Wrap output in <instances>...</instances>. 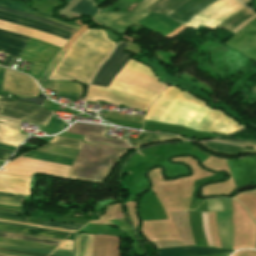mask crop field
Segmentation results:
<instances>
[{
  "mask_svg": "<svg viewBox=\"0 0 256 256\" xmlns=\"http://www.w3.org/2000/svg\"><path fill=\"white\" fill-rule=\"evenodd\" d=\"M145 119L182 125L217 134H228L245 127L201 100L169 86L154 102Z\"/></svg>",
  "mask_w": 256,
  "mask_h": 256,
  "instance_id": "crop-field-1",
  "label": "crop field"
},
{
  "mask_svg": "<svg viewBox=\"0 0 256 256\" xmlns=\"http://www.w3.org/2000/svg\"><path fill=\"white\" fill-rule=\"evenodd\" d=\"M165 87L149 68L130 59L108 88L91 85L86 101L122 103L146 111Z\"/></svg>",
  "mask_w": 256,
  "mask_h": 256,
  "instance_id": "crop-field-2",
  "label": "crop field"
},
{
  "mask_svg": "<svg viewBox=\"0 0 256 256\" xmlns=\"http://www.w3.org/2000/svg\"><path fill=\"white\" fill-rule=\"evenodd\" d=\"M105 32L87 29L67 50L50 79L74 80L89 84L92 76L114 49Z\"/></svg>",
  "mask_w": 256,
  "mask_h": 256,
  "instance_id": "crop-field-3",
  "label": "crop field"
},
{
  "mask_svg": "<svg viewBox=\"0 0 256 256\" xmlns=\"http://www.w3.org/2000/svg\"><path fill=\"white\" fill-rule=\"evenodd\" d=\"M127 151L113 146L84 143L70 172V179L103 184L120 158Z\"/></svg>",
  "mask_w": 256,
  "mask_h": 256,
  "instance_id": "crop-field-4",
  "label": "crop field"
},
{
  "mask_svg": "<svg viewBox=\"0 0 256 256\" xmlns=\"http://www.w3.org/2000/svg\"><path fill=\"white\" fill-rule=\"evenodd\" d=\"M52 113L53 111L0 97V115L46 126ZM4 116H0V120L10 123L8 126L0 125V143L17 147L26 138L19 131L21 121Z\"/></svg>",
  "mask_w": 256,
  "mask_h": 256,
  "instance_id": "crop-field-5",
  "label": "crop field"
},
{
  "mask_svg": "<svg viewBox=\"0 0 256 256\" xmlns=\"http://www.w3.org/2000/svg\"><path fill=\"white\" fill-rule=\"evenodd\" d=\"M243 7L244 6L238 0H219L197 14L186 25L196 29L202 24L213 30L224 19Z\"/></svg>",
  "mask_w": 256,
  "mask_h": 256,
  "instance_id": "crop-field-6",
  "label": "crop field"
},
{
  "mask_svg": "<svg viewBox=\"0 0 256 256\" xmlns=\"http://www.w3.org/2000/svg\"><path fill=\"white\" fill-rule=\"evenodd\" d=\"M127 43L122 42L117 45L111 56L98 69L91 84L108 87L113 77L123 68L127 61L132 57L121 52Z\"/></svg>",
  "mask_w": 256,
  "mask_h": 256,
  "instance_id": "crop-field-7",
  "label": "crop field"
},
{
  "mask_svg": "<svg viewBox=\"0 0 256 256\" xmlns=\"http://www.w3.org/2000/svg\"><path fill=\"white\" fill-rule=\"evenodd\" d=\"M106 126L90 125L83 123H74L66 132H72L79 135H85L84 140L87 142L106 143L127 149H133L124 139H114L106 137L103 133Z\"/></svg>",
  "mask_w": 256,
  "mask_h": 256,
  "instance_id": "crop-field-8",
  "label": "crop field"
},
{
  "mask_svg": "<svg viewBox=\"0 0 256 256\" xmlns=\"http://www.w3.org/2000/svg\"><path fill=\"white\" fill-rule=\"evenodd\" d=\"M27 76L6 68L2 90L21 97L37 96L38 86L33 79Z\"/></svg>",
  "mask_w": 256,
  "mask_h": 256,
  "instance_id": "crop-field-9",
  "label": "crop field"
},
{
  "mask_svg": "<svg viewBox=\"0 0 256 256\" xmlns=\"http://www.w3.org/2000/svg\"><path fill=\"white\" fill-rule=\"evenodd\" d=\"M147 14H148L147 12H137V13L111 12V13L98 15L97 17H95L94 20L122 35L129 26L138 22Z\"/></svg>",
  "mask_w": 256,
  "mask_h": 256,
  "instance_id": "crop-field-10",
  "label": "crop field"
},
{
  "mask_svg": "<svg viewBox=\"0 0 256 256\" xmlns=\"http://www.w3.org/2000/svg\"><path fill=\"white\" fill-rule=\"evenodd\" d=\"M28 40L29 37L0 30V51L8 55L4 66L12 68Z\"/></svg>",
  "mask_w": 256,
  "mask_h": 256,
  "instance_id": "crop-field-11",
  "label": "crop field"
},
{
  "mask_svg": "<svg viewBox=\"0 0 256 256\" xmlns=\"http://www.w3.org/2000/svg\"><path fill=\"white\" fill-rule=\"evenodd\" d=\"M232 201L222 199L224 213H216V223L222 248L232 249L233 224H232Z\"/></svg>",
  "mask_w": 256,
  "mask_h": 256,
  "instance_id": "crop-field-12",
  "label": "crop field"
},
{
  "mask_svg": "<svg viewBox=\"0 0 256 256\" xmlns=\"http://www.w3.org/2000/svg\"><path fill=\"white\" fill-rule=\"evenodd\" d=\"M136 24L162 37L182 25L158 13H150Z\"/></svg>",
  "mask_w": 256,
  "mask_h": 256,
  "instance_id": "crop-field-13",
  "label": "crop field"
},
{
  "mask_svg": "<svg viewBox=\"0 0 256 256\" xmlns=\"http://www.w3.org/2000/svg\"><path fill=\"white\" fill-rule=\"evenodd\" d=\"M0 19L15 23V24H18L21 26L37 29V30L58 36L60 38L66 39V40H68V38L71 36V33L66 32L64 30H61V29H58L55 27H51V26H48V25L30 20V19L24 18V17L8 14V13H4V12H0Z\"/></svg>",
  "mask_w": 256,
  "mask_h": 256,
  "instance_id": "crop-field-14",
  "label": "crop field"
},
{
  "mask_svg": "<svg viewBox=\"0 0 256 256\" xmlns=\"http://www.w3.org/2000/svg\"><path fill=\"white\" fill-rule=\"evenodd\" d=\"M215 1L217 0H189L176 11L171 13L168 17L185 25L198 12Z\"/></svg>",
  "mask_w": 256,
  "mask_h": 256,
  "instance_id": "crop-field-15",
  "label": "crop field"
},
{
  "mask_svg": "<svg viewBox=\"0 0 256 256\" xmlns=\"http://www.w3.org/2000/svg\"><path fill=\"white\" fill-rule=\"evenodd\" d=\"M157 251L160 256H197V255L229 252L233 250L190 246V247H180V248H171V249H161Z\"/></svg>",
  "mask_w": 256,
  "mask_h": 256,
  "instance_id": "crop-field-16",
  "label": "crop field"
},
{
  "mask_svg": "<svg viewBox=\"0 0 256 256\" xmlns=\"http://www.w3.org/2000/svg\"><path fill=\"white\" fill-rule=\"evenodd\" d=\"M201 144L211 151L218 152L224 155H230V156H237V155H242L247 153H256V149H249V148L235 146V145L220 144V143H213V142H205Z\"/></svg>",
  "mask_w": 256,
  "mask_h": 256,
  "instance_id": "crop-field-17",
  "label": "crop field"
},
{
  "mask_svg": "<svg viewBox=\"0 0 256 256\" xmlns=\"http://www.w3.org/2000/svg\"><path fill=\"white\" fill-rule=\"evenodd\" d=\"M188 0H157L145 11L159 12L163 15H168Z\"/></svg>",
  "mask_w": 256,
  "mask_h": 256,
  "instance_id": "crop-field-18",
  "label": "crop field"
},
{
  "mask_svg": "<svg viewBox=\"0 0 256 256\" xmlns=\"http://www.w3.org/2000/svg\"><path fill=\"white\" fill-rule=\"evenodd\" d=\"M253 14L255 13H253L245 7L240 11L236 12L235 14H233L232 16H230L229 18H227L226 20H224L218 27L231 31Z\"/></svg>",
  "mask_w": 256,
  "mask_h": 256,
  "instance_id": "crop-field-19",
  "label": "crop field"
},
{
  "mask_svg": "<svg viewBox=\"0 0 256 256\" xmlns=\"http://www.w3.org/2000/svg\"><path fill=\"white\" fill-rule=\"evenodd\" d=\"M0 6L11 8V9L22 11V12H26V13H30V14H34V15H38V16H41V17H45V18L51 19L55 22L67 25V26L72 27V28H76V29L79 28V26L74 25L72 23L62 21V20H59V19H55V18H52V17H50L46 14H42V13H39V12H36V11L29 10L25 4L20 3V2H15V1L0 2Z\"/></svg>",
  "mask_w": 256,
  "mask_h": 256,
  "instance_id": "crop-field-20",
  "label": "crop field"
},
{
  "mask_svg": "<svg viewBox=\"0 0 256 256\" xmlns=\"http://www.w3.org/2000/svg\"><path fill=\"white\" fill-rule=\"evenodd\" d=\"M34 151L57 155V156H61V157H65V158H69V159H73V160L76 159V155L78 152L76 150L60 147V146L53 145L50 143H48L45 146H43L37 150H34Z\"/></svg>",
  "mask_w": 256,
  "mask_h": 256,
  "instance_id": "crop-field-21",
  "label": "crop field"
},
{
  "mask_svg": "<svg viewBox=\"0 0 256 256\" xmlns=\"http://www.w3.org/2000/svg\"><path fill=\"white\" fill-rule=\"evenodd\" d=\"M171 140H185V139L175 137V136H170V135L146 132L143 140L130 139V142L132 144L137 145L135 148L138 150L139 146L143 144L153 143L157 141L166 142Z\"/></svg>",
  "mask_w": 256,
  "mask_h": 256,
  "instance_id": "crop-field-22",
  "label": "crop field"
},
{
  "mask_svg": "<svg viewBox=\"0 0 256 256\" xmlns=\"http://www.w3.org/2000/svg\"><path fill=\"white\" fill-rule=\"evenodd\" d=\"M66 52V50H63L61 52H59L54 59L52 60V62L49 64V66L47 67L43 77L38 80L37 82L41 85V87L44 88H55L56 89V81H52V80H48L49 76L51 75L52 71L54 70V68L57 66V64L60 62V60L62 59L61 57L63 56V54Z\"/></svg>",
  "mask_w": 256,
  "mask_h": 256,
  "instance_id": "crop-field-23",
  "label": "crop field"
},
{
  "mask_svg": "<svg viewBox=\"0 0 256 256\" xmlns=\"http://www.w3.org/2000/svg\"><path fill=\"white\" fill-rule=\"evenodd\" d=\"M78 84V83H77ZM75 83L57 81V95L76 97L81 96L82 87Z\"/></svg>",
  "mask_w": 256,
  "mask_h": 256,
  "instance_id": "crop-field-24",
  "label": "crop field"
},
{
  "mask_svg": "<svg viewBox=\"0 0 256 256\" xmlns=\"http://www.w3.org/2000/svg\"><path fill=\"white\" fill-rule=\"evenodd\" d=\"M69 12L93 17L99 12V10L90 0H82Z\"/></svg>",
  "mask_w": 256,
  "mask_h": 256,
  "instance_id": "crop-field-25",
  "label": "crop field"
},
{
  "mask_svg": "<svg viewBox=\"0 0 256 256\" xmlns=\"http://www.w3.org/2000/svg\"><path fill=\"white\" fill-rule=\"evenodd\" d=\"M0 10L1 11H4V12H8V13H12V14H16V15H20V16H24V17H27V18H30V19H33V20H36V21H39V22H42V23H45V24H48V25H52V26H55V27H58V28H61V29H64L66 31H69L71 33L75 32L76 30L74 29H71L69 27H65L61 24H58V23H55V22H52V21H49V20H46L44 18H41V17H37V16H33V15H29V14H26V13H22V12H18V11H14V10H10V9H6V8H2L0 7Z\"/></svg>",
  "mask_w": 256,
  "mask_h": 256,
  "instance_id": "crop-field-26",
  "label": "crop field"
},
{
  "mask_svg": "<svg viewBox=\"0 0 256 256\" xmlns=\"http://www.w3.org/2000/svg\"><path fill=\"white\" fill-rule=\"evenodd\" d=\"M24 156L41 159V160H45V161H50V162H55V163H60V164H64V165H69V166H71L73 163V160L50 156V155H46V154H42V153H38V152H34V151H31Z\"/></svg>",
  "mask_w": 256,
  "mask_h": 256,
  "instance_id": "crop-field-27",
  "label": "crop field"
},
{
  "mask_svg": "<svg viewBox=\"0 0 256 256\" xmlns=\"http://www.w3.org/2000/svg\"><path fill=\"white\" fill-rule=\"evenodd\" d=\"M0 229L19 231V232H25V233L36 234V235H41V236H48V237H57V238H63V239L68 237L66 235H60V234H55V233H51V232L35 231V230H30L28 228H22V227H12V226L0 225Z\"/></svg>",
  "mask_w": 256,
  "mask_h": 256,
  "instance_id": "crop-field-28",
  "label": "crop field"
},
{
  "mask_svg": "<svg viewBox=\"0 0 256 256\" xmlns=\"http://www.w3.org/2000/svg\"><path fill=\"white\" fill-rule=\"evenodd\" d=\"M0 236L14 238V239L35 241V242L44 243V244H48V245H54V246H58L60 244L59 241H53V240H47V239H41V238H35V237H29V236H23V235L0 233Z\"/></svg>",
  "mask_w": 256,
  "mask_h": 256,
  "instance_id": "crop-field-29",
  "label": "crop field"
},
{
  "mask_svg": "<svg viewBox=\"0 0 256 256\" xmlns=\"http://www.w3.org/2000/svg\"><path fill=\"white\" fill-rule=\"evenodd\" d=\"M68 125H66L64 122L51 118L47 126L42 130L43 132L55 134L59 132L60 130L66 128Z\"/></svg>",
  "mask_w": 256,
  "mask_h": 256,
  "instance_id": "crop-field-30",
  "label": "crop field"
},
{
  "mask_svg": "<svg viewBox=\"0 0 256 256\" xmlns=\"http://www.w3.org/2000/svg\"><path fill=\"white\" fill-rule=\"evenodd\" d=\"M213 141H219V142H225V143H231V144H238V145L256 147V140H250V139L219 138V139H215Z\"/></svg>",
  "mask_w": 256,
  "mask_h": 256,
  "instance_id": "crop-field-31",
  "label": "crop field"
},
{
  "mask_svg": "<svg viewBox=\"0 0 256 256\" xmlns=\"http://www.w3.org/2000/svg\"><path fill=\"white\" fill-rule=\"evenodd\" d=\"M20 212L0 209V218L27 222L28 216H18Z\"/></svg>",
  "mask_w": 256,
  "mask_h": 256,
  "instance_id": "crop-field-32",
  "label": "crop field"
},
{
  "mask_svg": "<svg viewBox=\"0 0 256 256\" xmlns=\"http://www.w3.org/2000/svg\"><path fill=\"white\" fill-rule=\"evenodd\" d=\"M0 247L32 251V252H39V253H45V254H49L50 252H52L51 250H45V249H39V248H33V247L9 244V243H1V242H0Z\"/></svg>",
  "mask_w": 256,
  "mask_h": 256,
  "instance_id": "crop-field-33",
  "label": "crop field"
},
{
  "mask_svg": "<svg viewBox=\"0 0 256 256\" xmlns=\"http://www.w3.org/2000/svg\"><path fill=\"white\" fill-rule=\"evenodd\" d=\"M208 217H209V226H210V232L212 235L213 242L216 247L221 248L217 230H216L215 213L208 212Z\"/></svg>",
  "mask_w": 256,
  "mask_h": 256,
  "instance_id": "crop-field-34",
  "label": "crop field"
},
{
  "mask_svg": "<svg viewBox=\"0 0 256 256\" xmlns=\"http://www.w3.org/2000/svg\"><path fill=\"white\" fill-rule=\"evenodd\" d=\"M79 237H80V235H77V233H75V238H74V243H73V251L56 249L51 254L58 255V256H76L77 249H78V243H79Z\"/></svg>",
  "mask_w": 256,
  "mask_h": 256,
  "instance_id": "crop-field-35",
  "label": "crop field"
},
{
  "mask_svg": "<svg viewBox=\"0 0 256 256\" xmlns=\"http://www.w3.org/2000/svg\"><path fill=\"white\" fill-rule=\"evenodd\" d=\"M0 241L1 242L22 244V245H28V246H34V247H39V248L51 249V250H54L56 248L54 246H48V245H43V244H38V243H33V242H27V241H21V240H14V239L0 238Z\"/></svg>",
  "mask_w": 256,
  "mask_h": 256,
  "instance_id": "crop-field-36",
  "label": "crop field"
},
{
  "mask_svg": "<svg viewBox=\"0 0 256 256\" xmlns=\"http://www.w3.org/2000/svg\"><path fill=\"white\" fill-rule=\"evenodd\" d=\"M50 143L65 145V146H69V147H73V148H77V149H79L81 146L80 141L63 139V138H58V137H55Z\"/></svg>",
  "mask_w": 256,
  "mask_h": 256,
  "instance_id": "crop-field-37",
  "label": "crop field"
},
{
  "mask_svg": "<svg viewBox=\"0 0 256 256\" xmlns=\"http://www.w3.org/2000/svg\"><path fill=\"white\" fill-rule=\"evenodd\" d=\"M88 238H89L88 234L81 233L79 249H78V256H86L87 255Z\"/></svg>",
  "mask_w": 256,
  "mask_h": 256,
  "instance_id": "crop-field-38",
  "label": "crop field"
},
{
  "mask_svg": "<svg viewBox=\"0 0 256 256\" xmlns=\"http://www.w3.org/2000/svg\"><path fill=\"white\" fill-rule=\"evenodd\" d=\"M40 225H45V226H53V227H61V228H66V229H72V230H77L81 228L84 225H79V224H63V223H56V222H45Z\"/></svg>",
  "mask_w": 256,
  "mask_h": 256,
  "instance_id": "crop-field-39",
  "label": "crop field"
},
{
  "mask_svg": "<svg viewBox=\"0 0 256 256\" xmlns=\"http://www.w3.org/2000/svg\"><path fill=\"white\" fill-rule=\"evenodd\" d=\"M208 211L223 212L221 199L208 200Z\"/></svg>",
  "mask_w": 256,
  "mask_h": 256,
  "instance_id": "crop-field-40",
  "label": "crop field"
},
{
  "mask_svg": "<svg viewBox=\"0 0 256 256\" xmlns=\"http://www.w3.org/2000/svg\"><path fill=\"white\" fill-rule=\"evenodd\" d=\"M24 198L25 196H22V195L0 193V199H3V200L23 202Z\"/></svg>",
  "mask_w": 256,
  "mask_h": 256,
  "instance_id": "crop-field-41",
  "label": "crop field"
},
{
  "mask_svg": "<svg viewBox=\"0 0 256 256\" xmlns=\"http://www.w3.org/2000/svg\"><path fill=\"white\" fill-rule=\"evenodd\" d=\"M11 154V151L0 149V160L5 161Z\"/></svg>",
  "mask_w": 256,
  "mask_h": 256,
  "instance_id": "crop-field-42",
  "label": "crop field"
},
{
  "mask_svg": "<svg viewBox=\"0 0 256 256\" xmlns=\"http://www.w3.org/2000/svg\"><path fill=\"white\" fill-rule=\"evenodd\" d=\"M0 224H9V225H17V226L35 228V227H31V226H25V225H19V224H12V223H5V222H0ZM35 229H40V228H35ZM43 230H48V229H43ZM49 231L58 232V233H62V234H67V235H70V234H71V233H66V232L56 231V230H49Z\"/></svg>",
  "mask_w": 256,
  "mask_h": 256,
  "instance_id": "crop-field-43",
  "label": "crop field"
},
{
  "mask_svg": "<svg viewBox=\"0 0 256 256\" xmlns=\"http://www.w3.org/2000/svg\"><path fill=\"white\" fill-rule=\"evenodd\" d=\"M73 241L66 240L59 248L72 250Z\"/></svg>",
  "mask_w": 256,
  "mask_h": 256,
  "instance_id": "crop-field-44",
  "label": "crop field"
},
{
  "mask_svg": "<svg viewBox=\"0 0 256 256\" xmlns=\"http://www.w3.org/2000/svg\"><path fill=\"white\" fill-rule=\"evenodd\" d=\"M0 221H6V222H12V223H20V224H28V225H32V226H38V225L29 224V223L14 222V221L2 220V219H0ZM38 227H43V226H38ZM44 228H50V227H44ZM50 229H57V228H50ZM57 230H63V231L74 232V231L65 230V229H57Z\"/></svg>",
  "mask_w": 256,
  "mask_h": 256,
  "instance_id": "crop-field-45",
  "label": "crop field"
},
{
  "mask_svg": "<svg viewBox=\"0 0 256 256\" xmlns=\"http://www.w3.org/2000/svg\"><path fill=\"white\" fill-rule=\"evenodd\" d=\"M0 232L16 233V234L29 235V234H25V233L11 232V231H4V230H0ZM29 236H35V235H29ZM35 237H41V236H35ZM41 238H47V239H53V240H59V241H62V239H56V238H48V237H41Z\"/></svg>",
  "mask_w": 256,
  "mask_h": 256,
  "instance_id": "crop-field-46",
  "label": "crop field"
},
{
  "mask_svg": "<svg viewBox=\"0 0 256 256\" xmlns=\"http://www.w3.org/2000/svg\"><path fill=\"white\" fill-rule=\"evenodd\" d=\"M1 250H7V251H14V252H20V253H26V254H32V255H38V256H47L45 254H37V253H30V252H23V251H15V250H9L5 248H0Z\"/></svg>",
  "mask_w": 256,
  "mask_h": 256,
  "instance_id": "crop-field-47",
  "label": "crop field"
},
{
  "mask_svg": "<svg viewBox=\"0 0 256 256\" xmlns=\"http://www.w3.org/2000/svg\"><path fill=\"white\" fill-rule=\"evenodd\" d=\"M0 208L10 209V210H18V211H21V209H22V208H19V207H13V206H7V205H0Z\"/></svg>",
  "mask_w": 256,
  "mask_h": 256,
  "instance_id": "crop-field-48",
  "label": "crop field"
},
{
  "mask_svg": "<svg viewBox=\"0 0 256 256\" xmlns=\"http://www.w3.org/2000/svg\"><path fill=\"white\" fill-rule=\"evenodd\" d=\"M4 67L0 66V90L2 88V82H3V77H4Z\"/></svg>",
  "mask_w": 256,
  "mask_h": 256,
  "instance_id": "crop-field-49",
  "label": "crop field"
},
{
  "mask_svg": "<svg viewBox=\"0 0 256 256\" xmlns=\"http://www.w3.org/2000/svg\"><path fill=\"white\" fill-rule=\"evenodd\" d=\"M0 253L10 254V255H17V256H31V255H25V254H19V253H13V252L1 251V250H0Z\"/></svg>",
  "mask_w": 256,
  "mask_h": 256,
  "instance_id": "crop-field-50",
  "label": "crop field"
},
{
  "mask_svg": "<svg viewBox=\"0 0 256 256\" xmlns=\"http://www.w3.org/2000/svg\"><path fill=\"white\" fill-rule=\"evenodd\" d=\"M92 240H93V235H90L89 247H88V256H91Z\"/></svg>",
  "mask_w": 256,
  "mask_h": 256,
  "instance_id": "crop-field-51",
  "label": "crop field"
},
{
  "mask_svg": "<svg viewBox=\"0 0 256 256\" xmlns=\"http://www.w3.org/2000/svg\"><path fill=\"white\" fill-rule=\"evenodd\" d=\"M0 204L21 206V204H19V203H13V202H9V201H1V200H0Z\"/></svg>",
  "mask_w": 256,
  "mask_h": 256,
  "instance_id": "crop-field-52",
  "label": "crop field"
},
{
  "mask_svg": "<svg viewBox=\"0 0 256 256\" xmlns=\"http://www.w3.org/2000/svg\"><path fill=\"white\" fill-rule=\"evenodd\" d=\"M0 148L11 150V151H14V149H15L14 147L5 146V145H1V144H0Z\"/></svg>",
  "mask_w": 256,
  "mask_h": 256,
  "instance_id": "crop-field-53",
  "label": "crop field"
},
{
  "mask_svg": "<svg viewBox=\"0 0 256 256\" xmlns=\"http://www.w3.org/2000/svg\"><path fill=\"white\" fill-rule=\"evenodd\" d=\"M3 163H4L3 161H0V166H2V165H3Z\"/></svg>",
  "mask_w": 256,
  "mask_h": 256,
  "instance_id": "crop-field-54",
  "label": "crop field"
},
{
  "mask_svg": "<svg viewBox=\"0 0 256 256\" xmlns=\"http://www.w3.org/2000/svg\"><path fill=\"white\" fill-rule=\"evenodd\" d=\"M0 255H3V254H0ZM5 256H10V255H5Z\"/></svg>",
  "mask_w": 256,
  "mask_h": 256,
  "instance_id": "crop-field-55",
  "label": "crop field"
},
{
  "mask_svg": "<svg viewBox=\"0 0 256 256\" xmlns=\"http://www.w3.org/2000/svg\"><path fill=\"white\" fill-rule=\"evenodd\" d=\"M67 1V3L70 1V0H66Z\"/></svg>",
  "mask_w": 256,
  "mask_h": 256,
  "instance_id": "crop-field-56",
  "label": "crop field"
},
{
  "mask_svg": "<svg viewBox=\"0 0 256 256\" xmlns=\"http://www.w3.org/2000/svg\"><path fill=\"white\" fill-rule=\"evenodd\" d=\"M49 256H52V255H49Z\"/></svg>",
  "mask_w": 256,
  "mask_h": 256,
  "instance_id": "crop-field-57",
  "label": "crop field"
}]
</instances>
